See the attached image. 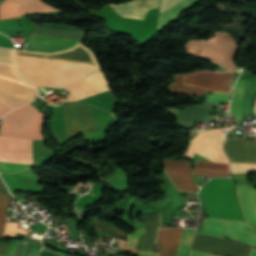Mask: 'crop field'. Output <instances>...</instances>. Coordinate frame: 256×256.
<instances>
[{
  "instance_id": "16",
  "label": "crop field",
  "mask_w": 256,
  "mask_h": 256,
  "mask_svg": "<svg viewBox=\"0 0 256 256\" xmlns=\"http://www.w3.org/2000/svg\"><path fill=\"white\" fill-rule=\"evenodd\" d=\"M5 2H18L21 13L49 12L55 10L40 0H5ZM18 4L1 3L0 4V20L21 15Z\"/></svg>"
},
{
  "instance_id": "32",
  "label": "crop field",
  "mask_w": 256,
  "mask_h": 256,
  "mask_svg": "<svg viewBox=\"0 0 256 256\" xmlns=\"http://www.w3.org/2000/svg\"><path fill=\"white\" fill-rule=\"evenodd\" d=\"M0 193L5 194V195L8 193V191L5 187V185L3 184L1 178H0Z\"/></svg>"
},
{
  "instance_id": "10",
  "label": "crop field",
  "mask_w": 256,
  "mask_h": 256,
  "mask_svg": "<svg viewBox=\"0 0 256 256\" xmlns=\"http://www.w3.org/2000/svg\"><path fill=\"white\" fill-rule=\"evenodd\" d=\"M192 250L217 255L249 256L252 249L231 243L227 240L196 233ZM250 256H256V250H252Z\"/></svg>"
},
{
  "instance_id": "2",
  "label": "crop field",
  "mask_w": 256,
  "mask_h": 256,
  "mask_svg": "<svg viewBox=\"0 0 256 256\" xmlns=\"http://www.w3.org/2000/svg\"><path fill=\"white\" fill-rule=\"evenodd\" d=\"M232 72H210L197 70L187 74L176 75L168 89L183 94L205 95L207 91L229 94ZM229 95L212 93L207 101L228 103Z\"/></svg>"
},
{
  "instance_id": "37",
  "label": "crop field",
  "mask_w": 256,
  "mask_h": 256,
  "mask_svg": "<svg viewBox=\"0 0 256 256\" xmlns=\"http://www.w3.org/2000/svg\"><path fill=\"white\" fill-rule=\"evenodd\" d=\"M256 137V136H255Z\"/></svg>"
},
{
  "instance_id": "24",
  "label": "crop field",
  "mask_w": 256,
  "mask_h": 256,
  "mask_svg": "<svg viewBox=\"0 0 256 256\" xmlns=\"http://www.w3.org/2000/svg\"><path fill=\"white\" fill-rule=\"evenodd\" d=\"M195 168L212 169V170H230L228 164H220L208 161H197Z\"/></svg>"
},
{
  "instance_id": "7",
  "label": "crop field",
  "mask_w": 256,
  "mask_h": 256,
  "mask_svg": "<svg viewBox=\"0 0 256 256\" xmlns=\"http://www.w3.org/2000/svg\"><path fill=\"white\" fill-rule=\"evenodd\" d=\"M0 161L34 164L31 140L0 137ZM8 162H0V172L15 173L35 166Z\"/></svg>"
},
{
  "instance_id": "23",
  "label": "crop field",
  "mask_w": 256,
  "mask_h": 256,
  "mask_svg": "<svg viewBox=\"0 0 256 256\" xmlns=\"http://www.w3.org/2000/svg\"><path fill=\"white\" fill-rule=\"evenodd\" d=\"M9 197L0 195V236L3 234Z\"/></svg>"
},
{
  "instance_id": "4",
  "label": "crop field",
  "mask_w": 256,
  "mask_h": 256,
  "mask_svg": "<svg viewBox=\"0 0 256 256\" xmlns=\"http://www.w3.org/2000/svg\"><path fill=\"white\" fill-rule=\"evenodd\" d=\"M41 123L42 113L28 104L4 116L0 127V136L41 139Z\"/></svg>"
},
{
  "instance_id": "3",
  "label": "crop field",
  "mask_w": 256,
  "mask_h": 256,
  "mask_svg": "<svg viewBox=\"0 0 256 256\" xmlns=\"http://www.w3.org/2000/svg\"><path fill=\"white\" fill-rule=\"evenodd\" d=\"M209 217L243 220L232 178L211 179L202 188Z\"/></svg>"
},
{
  "instance_id": "14",
  "label": "crop field",
  "mask_w": 256,
  "mask_h": 256,
  "mask_svg": "<svg viewBox=\"0 0 256 256\" xmlns=\"http://www.w3.org/2000/svg\"><path fill=\"white\" fill-rule=\"evenodd\" d=\"M227 229L256 238V230L251 228L246 222L227 221L206 217H204V224L201 232L224 237Z\"/></svg>"
},
{
  "instance_id": "15",
  "label": "crop field",
  "mask_w": 256,
  "mask_h": 256,
  "mask_svg": "<svg viewBox=\"0 0 256 256\" xmlns=\"http://www.w3.org/2000/svg\"><path fill=\"white\" fill-rule=\"evenodd\" d=\"M224 150L230 162L256 163V140H225Z\"/></svg>"
},
{
  "instance_id": "25",
  "label": "crop field",
  "mask_w": 256,
  "mask_h": 256,
  "mask_svg": "<svg viewBox=\"0 0 256 256\" xmlns=\"http://www.w3.org/2000/svg\"><path fill=\"white\" fill-rule=\"evenodd\" d=\"M94 227H95V229H98V230H102V231H106V232H110V233H114V234H118V235H122V236L127 235L124 232L116 229L117 227L114 228L115 226L113 227L99 219H97L95 221Z\"/></svg>"
},
{
  "instance_id": "8",
  "label": "crop field",
  "mask_w": 256,
  "mask_h": 256,
  "mask_svg": "<svg viewBox=\"0 0 256 256\" xmlns=\"http://www.w3.org/2000/svg\"><path fill=\"white\" fill-rule=\"evenodd\" d=\"M227 130L217 129L194 135L189 142V149L185 156L193 158V152L203 157L221 163H228L222 150V138Z\"/></svg>"
},
{
  "instance_id": "27",
  "label": "crop field",
  "mask_w": 256,
  "mask_h": 256,
  "mask_svg": "<svg viewBox=\"0 0 256 256\" xmlns=\"http://www.w3.org/2000/svg\"><path fill=\"white\" fill-rule=\"evenodd\" d=\"M232 173L256 172V165L231 164Z\"/></svg>"
},
{
  "instance_id": "33",
  "label": "crop field",
  "mask_w": 256,
  "mask_h": 256,
  "mask_svg": "<svg viewBox=\"0 0 256 256\" xmlns=\"http://www.w3.org/2000/svg\"><path fill=\"white\" fill-rule=\"evenodd\" d=\"M7 111H9V109L6 108L2 103H0V116Z\"/></svg>"
},
{
  "instance_id": "34",
  "label": "crop field",
  "mask_w": 256,
  "mask_h": 256,
  "mask_svg": "<svg viewBox=\"0 0 256 256\" xmlns=\"http://www.w3.org/2000/svg\"><path fill=\"white\" fill-rule=\"evenodd\" d=\"M40 256H60V255L50 253V252H47V251L43 250L42 253L40 254Z\"/></svg>"
},
{
  "instance_id": "26",
  "label": "crop field",
  "mask_w": 256,
  "mask_h": 256,
  "mask_svg": "<svg viewBox=\"0 0 256 256\" xmlns=\"http://www.w3.org/2000/svg\"><path fill=\"white\" fill-rule=\"evenodd\" d=\"M225 237L235 239V240L240 241V242L245 243V244L256 246V239L248 237L246 235L234 233V232L229 231V230H228Z\"/></svg>"
},
{
  "instance_id": "31",
  "label": "crop field",
  "mask_w": 256,
  "mask_h": 256,
  "mask_svg": "<svg viewBox=\"0 0 256 256\" xmlns=\"http://www.w3.org/2000/svg\"><path fill=\"white\" fill-rule=\"evenodd\" d=\"M10 245L0 243V256H6L7 250Z\"/></svg>"
},
{
  "instance_id": "11",
  "label": "crop field",
  "mask_w": 256,
  "mask_h": 256,
  "mask_svg": "<svg viewBox=\"0 0 256 256\" xmlns=\"http://www.w3.org/2000/svg\"><path fill=\"white\" fill-rule=\"evenodd\" d=\"M242 89L243 79L237 81L235 85V96L230 105L229 116H240L242 109ZM256 95V77L244 79L243 117L251 115L252 101ZM241 118L237 117V121Z\"/></svg>"
},
{
  "instance_id": "20",
  "label": "crop field",
  "mask_w": 256,
  "mask_h": 256,
  "mask_svg": "<svg viewBox=\"0 0 256 256\" xmlns=\"http://www.w3.org/2000/svg\"><path fill=\"white\" fill-rule=\"evenodd\" d=\"M146 233L139 237L136 251L153 252V242L156 237L159 221V213L143 215Z\"/></svg>"
},
{
  "instance_id": "29",
  "label": "crop field",
  "mask_w": 256,
  "mask_h": 256,
  "mask_svg": "<svg viewBox=\"0 0 256 256\" xmlns=\"http://www.w3.org/2000/svg\"><path fill=\"white\" fill-rule=\"evenodd\" d=\"M17 224L6 223L4 235H14L15 231L26 234V231L16 229Z\"/></svg>"
},
{
  "instance_id": "12",
  "label": "crop field",
  "mask_w": 256,
  "mask_h": 256,
  "mask_svg": "<svg viewBox=\"0 0 256 256\" xmlns=\"http://www.w3.org/2000/svg\"><path fill=\"white\" fill-rule=\"evenodd\" d=\"M37 96V91L0 79V102L11 110L24 105Z\"/></svg>"
},
{
  "instance_id": "6",
  "label": "crop field",
  "mask_w": 256,
  "mask_h": 256,
  "mask_svg": "<svg viewBox=\"0 0 256 256\" xmlns=\"http://www.w3.org/2000/svg\"><path fill=\"white\" fill-rule=\"evenodd\" d=\"M33 32L70 37V38H81V31L61 29V28H52V27H41L35 26ZM32 33L30 40L25 48L28 51H40V52H55L63 49H68L76 45L79 41L77 39L42 35Z\"/></svg>"
},
{
  "instance_id": "17",
  "label": "crop field",
  "mask_w": 256,
  "mask_h": 256,
  "mask_svg": "<svg viewBox=\"0 0 256 256\" xmlns=\"http://www.w3.org/2000/svg\"><path fill=\"white\" fill-rule=\"evenodd\" d=\"M237 196L246 220L256 228V189L237 185Z\"/></svg>"
},
{
  "instance_id": "22",
  "label": "crop field",
  "mask_w": 256,
  "mask_h": 256,
  "mask_svg": "<svg viewBox=\"0 0 256 256\" xmlns=\"http://www.w3.org/2000/svg\"><path fill=\"white\" fill-rule=\"evenodd\" d=\"M195 229H183L179 244L178 256H189L191 241L194 237Z\"/></svg>"
},
{
  "instance_id": "18",
  "label": "crop field",
  "mask_w": 256,
  "mask_h": 256,
  "mask_svg": "<svg viewBox=\"0 0 256 256\" xmlns=\"http://www.w3.org/2000/svg\"><path fill=\"white\" fill-rule=\"evenodd\" d=\"M142 11L146 14V12L152 8H158L159 0H135ZM134 2L128 1L123 4H110L121 16L124 17H132V18H144L143 12Z\"/></svg>"
},
{
  "instance_id": "9",
  "label": "crop field",
  "mask_w": 256,
  "mask_h": 256,
  "mask_svg": "<svg viewBox=\"0 0 256 256\" xmlns=\"http://www.w3.org/2000/svg\"><path fill=\"white\" fill-rule=\"evenodd\" d=\"M166 172L173 173H185L191 174V163L176 161V160H166L163 162ZM168 173L172 179L174 185L181 191H196L198 192L199 188L195 184L191 175L185 174H173ZM192 174L195 175H207L214 177H227L230 175V171H211V170H200L192 169Z\"/></svg>"
},
{
  "instance_id": "28",
  "label": "crop field",
  "mask_w": 256,
  "mask_h": 256,
  "mask_svg": "<svg viewBox=\"0 0 256 256\" xmlns=\"http://www.w3.org/2000/svg\"><path fill=\"white\" fill-rule=\"evenodd\" d=\"M143 233H145L144 227L139 228L132 232L131 234L127 235L126 246H136L138 237L141 236Z\"/></svg>"
},
{
  "instance_id": "35",
  "label": "crop field",
  "mask_w": 256,
  "mask_h": 256,
  "mask_svg": "<svg viewBox=\"0 0 256 256\" xmlns=\"http://www.w3.org/2000/svg\"><path fill=\"white\" fill-rule=\"evenodd\" d=\"M191 255H197V256H216V255L198 253V252H194V251H192Z\"/></svg>"
},
{
  "instance_id": "36",
  "label": "crop field",
  "mask_w": 256,
  "mask_h": 256,
  "mask_svg": "<svg viewBox=\"0 0 256 256\" xmlns=\"http://www.w3.org/2000/svg\"><path fill=\"white\" fill-rule=\"evenodd\" d=\"M254 113H255V115H256V103H255V105H254Z\"/></svg>"
},
{
  "instance_id": "5",
  "label": "crop field",
  "mask_w": 256,
  "mask_h": 256,
  "mask_svg": "<svg viewBox=\"0 0 256 256\" xmlns=\"http://www.w3.org/2000/svg\"><path fill=\"white\" fill-rule=\"evenodd\" d=\"M215 34L217 35L215 38L200 41V43L213 62L234 71V56L237 48L235 41L227 33L215 32ZM200 43L199 41L189 42L187 46L188 53L211 61Z\"/></svg>"
},
{
  "instance_id": "19",
  "label": "crop field",
  "mask_w": 256,
  "mask_h": 256,
  "mask_svg": "<svg viewBox=\"0 0 256 256\" xmlns=\"http://www.w3.org/2000/svg\"><path fill=\"white\" fill-rule=\"evenodd\" d=\"M182 228L159 229L157 243L162 244L160 256H176Z\"/></svg>"
},
{
  "instance_id": "30",
  "label": "crop field",
  "mask_w": 256,
  "mask_h": 256,
  "mask_svg": "<svg viewBox=\"0 0 256 256\" xmlns=\"http://www.w3.org/2000/svg\"><path fill=\"white\" fill-rule=\"evenodd\" d=\"M181 0H162L160 4V12L172 7Z\"/></svg>"
},
{
  "instance_id": "1",
  "label": "crop field",
  "mask_w": 256,
  "mask_h": 256,
  "mask_svg": "<svg viewBox=\"0 0 256 256\" xmlns=\"http://www.w3.org/2000/svg\"><path fill=\"white\" fill-rule=\"evenodd\" d=\"M19 73L35 86L71 90L84 76L100 70L96 67L15 59Z\"/></svg>"
},
{
  "instance_id": "13",
  "label": "crop field",
  "mask_w": 256,
  "mask_h": 256,
  "mask_svg": "<svg viewBox=\"0 0 256 256\" xmlns=\"http://www.w3.org/2000/svg\"><path fill=\"white\" fill-rule=\"evenodd\" d=\"M107 90H110L109 84L100 70L81 80L66 101H78Z\"/></svg>"
},
{
  "instance_id": "21",
  "label": "crop field",
  "mask_w": 256,
  "mask_h": 256,
  "mask_svg": "<svg viewBox=\"0 0 256 256\" xmlns=\"http://www.w3.org/2000/svg\"><path fill=\"white\" fill-rule=\"evenodd\" d=\"M41 247L28 241L13 242L7 256H37Z\"/></svg>"
}]
</instances>
